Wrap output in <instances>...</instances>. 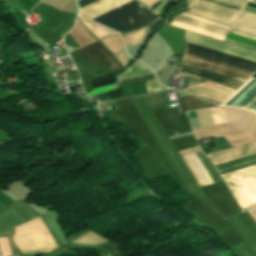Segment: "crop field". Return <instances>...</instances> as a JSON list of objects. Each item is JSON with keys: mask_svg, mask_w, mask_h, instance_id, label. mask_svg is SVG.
Wrapping results in <instances>:
<instances>
[{"mask_svg": "<svg viewBox=\"0 0 256 256\" xmlns=\"http://www.w3.org/2000/svg\"><path fill=\"white\" fill-rule=\"evenodd\" d=\"M119 88L117 83L115 84H111V85H108V86H104V87H101V88H97V89H94L88 93H86L88 96H93V95H97V94H101V93H105V92H108L110 90H113V89H117Z\"/></svg>", "mask_w": 256, "mask_h": 256, "instance_id": "23", "label": "crop field"}, {"mask_svg": "<svg viewBox=\"0 0 256 256\" xmlns=\"http://www.w3.org/2000/svg\"><path fill=\"white\" fill-rule=\"evenodd\" d=\"M195 112L201 127L214 124L209 109Z\"/></svg>", "mask_w": 256, "mask_h": 256, "instance_id": "21", "label": "crop field"}, {"mask_svg": "<svg viewBox=\"0 0 256 256\" xmlns=\"http://www.w3.org/2000/svg\"><path fill=\"white\" fill-rule=\"evenodd\" d=\"M237 175L240 176L248 185H250L256 191V178L240 174ZM237 175L233 172H230L223 175L222 178L231 189L242 210H245L249 207L256 205V192Z\"/></svg>", "mask_w": 256, "mask_h": 256, "instance_id": "5", "label": "crop field"}, {"mask_svg": "<svg viewBox=\"0 0 256 256\" xmlns=\"http://www.w3.org/2000/svg\"><path fill=\"white\" fill-rule=\"evenodd\" d=\"M93 21H95V22H97V23H99L101 25H104V26H106L108 28H111V29H113V30H115L117 32L126 33V32L132 31V30H130V29H128V28L118 24L117 22H115V21H113V20L103 16V15L98 17V18H96V19H94Z\"/></svg>", "mask_w": 256, "mask_h": 256, "instance_id": "17", "label": "crop field"}, {"mask_svg": "<svg viewBox=\"0 0 256 256\" xmlns=\"http://www.w3.org/2000/svg\"><path fill=\"white\" fill-rule=\"evenodd\" d=\"M142 3L147 5L151 10L155 5H157L161 0H140Z\"/></svg>", "mask_w": 256, "mask_h": 256, "instance_id": "28", "label": "crop field"}, {"mask_svg": "<svg viewBox=\"0 0 256 256\" xmlns=\"http://www.w3.org/2000/svg\"><path fill=\"white\" fill-rule=\"evenodd\" d=\"M210 110L215 124L227 122L222 108H214Z\"/></svg>", "mask_w": 256, "mask_h": 256, "instance_id": "22", "label": "crop field"}, {"mask_svg": "<svg viewBox=\"0 0 256 256\" xmlns=\"http://www.w3.org/2000/svg\"><path fill=\"white\" fill-rule=\"evenodd\" d=\"M248 212L253 217V219L256 221V207L248 210Z\"/></svg>", "mask_w": 256, "mask_h": 256, "instance_id": "33", "label": "crop field"}, {"mask_svg": "<svg viewBox=\"0 0 256 256\" xmlns=\"http://www.w3.org/2000/svg\"><path fill=\"white\" fill-rule=\"evenodd\" d=\"M91 1H93V0H80V1H78L79 7L88 3V2H91Z\"/></svg>", "mask_w": 256, "mask_h": 256, "instance_id": "34", "label": "crop field"}, {"mask_svg": "<svg viewBox=\"0 0 256 256\" xmlns=\"http://www.w3.org/2000/svg\"><path fill=\"white\" fill-rule=\"evenodd\" d=\"M78 50L92 63L104 64L117 71L122 69L110 52L99 41L81 47Z\"/></svg>", "mask_w": 256, "mask_h": 256, "instance_id": "8", "label": "crop field"}, {"mask_svg": "<svg viewBox=\"0 0 256 256\" xmlns=\"http://www.w3.org/2000/svg\"><path fill=\"white\" fill-rule=\"evenodd\" d=\"M125 46H130V45H134L137 43H140L142 41H144L145 38V29H142L140 31L137 32H133L130 33L126 36H121Z\"/></svg>", "mask_w": 256, "mask_h": 256, "instance_id": "19", "label": "crop field"}, {"mask_svg": "<svg viewBox=\"0 0 256 256\" xmlns=\"http://www.w3.org/2000/svg\"><path fill=\"white\" fill-rule=\"evenodd\" d=\"M183 14L194 16V17H197V18H200V19H204V20L211 21V22H214V23H218V24L228 26V27H230L231 24H232L231 22L224 21V20L212 17V16H208V15L196 12V11H192V10L189 11V12H185ZM183 14H180V15H183ZM180 15L175 17L174 20H177V21H180V22H183V23H187V24H190V25H193V26H196V27L204 28V29H207V30H211V31L221 33V34H224V35L226 34L227 29H228V27L217 25V24H214V23H211V22H207V21H204V20L194 18V19L204 21V22H207V23H210V24H214V25H217V26H220V27H224V28H227V29H223V28H220V27H217V26H213V25H210V24H207V23H203V22H200V21H197V20L190 19V18H193V17L187 16V15H184V16H187V17H190V18L183 17V16H180Z\"/></svg>", "mask_w": 256, "mask_h": 256, "instance_id": "9", "label": "crop field"}, {"mask_svg": "<svg viewBox=\"0 0 256 256\" xmlns=\"http://www.w3.org/2000/svg\"><path fill=\"white\" fill-rule=\"evenodd\" d=\"M253 77L256 78V74Z\"/></svg>", "mask_w": 256, "mask_h": 256, "instance_id": "35", "label": "crop field"}, {"mask_svg": "<svg viewBox=\"0 0 256 256\" xmlns=\"http://www.w3.org/2000/svg\"><path fill=\"white\" fill-rule=\"evenodd\" d=\"M256 152V143H250L235 149H230L218 153L209 154L208 156L212 160L213 164H219L240 156H244L247 154L255 153Z\"/></svg>", "mask_w": 256, "mask_h": 256, "instance_id": "12", "label": "crop field"}, {"mask_svg": "<svg viewBox=\"0 0 256 256\" xmlns=\"http://www.w3.org/2000/svg\"><path fill=\"white\" fill-rule=\"evenodd\" d=\"M224 112L228 123L213 125L204 128L194 129L193 132L197 139L215 136L221 137L228 134L244 132L247 130L253 113L237 109L224 107ZM226 140L233 148L253 142L254 140L247 132L225 136Z\"/></svg>", "mask_w": 256, "mask_h": 256, "instance_id": "2", "label": "crop field"}, {"mask_svg": "<svg viewBox=\"0 0 256 256\" xmlns=\"http://www.w3.org/2000/svg\"><path fill=\"white\" fill-rule=\"evenodd\" d=\"M178 99L180 101V104L184 112L188 110L217 106V105L205 102L203 100H200L198 98H195L193 96L181 97Z\"/></svg>", "mask_w": 256, "mask_h": 256, "instance_id": "13", "label": "crop field"}, {"mask_svg": "<svg viewBox=\"0 0 256 256\" xmlns=\"http://www.w3.org/2000/svg\"><path fill=\"white\" fill-rule=\"evenodd\" d=\"M145 67L135 62L125 73L119 75L120 79L147 74Z\"/></svg>", "mask_w": 256, "mask_h": 256, "instance_id": "20", "label": "crop field"}, {"mask_svg": "<svg viewBox=\"0 0 256 256\" xmlns=\"http://www.w3.org/2000/svg\"><path fill=\"white\" fill-rule=\"evenodd\" d=\"M185 40L193 42L199 45H203L212 49H216L222 52H226L232 55H236L245 59H249L256 62V52L245 48H241L232 44H228L222 41H218L212 38H208L202 35L185 31ZM185 41V42H186ZM186 42V51L220 61L250 72L256 71V63L245 60L236 56H232L226 53H222L216 50H212L203 46H199L193 43ZM184 52L182 63L190 65L199 69H203L209 72H213L222 76H226L235 80L245 82L250 78L253 73L219 63L189 52ZM181 65L180 71H184L190 74H194L200 77H204L210 80H214L220 83H224L230 86L239 88L242 82L235 81L226 77H222L216 74H212L203 70H199L190 66ZM185 91L200 96L202 98L222 104L228 97H230L235 90L228 89L209 82L195 85L186 88Z\"/></svg>", "mask_w": 256, "mask_h": 256, "instance_id": "1", "label": "crop field"}, {"mask_svg": "<svg viewBox=\"0 0 256 256\" xmlns=\"http://www.w3.org/2000/svg\"><path fill=\"white\" fill-rule=\"evenodd\" d=\"M213 1L242 9V7L244 6L247 0H213ZM188 8L206 13L221 19H225L231 22L239 13V10H235V9L218 5L205 0H191Z\"/></svg>", "mask_w": 256, "mask_h": 256, "instance_id": "6", "label": "crop field"}, {"mask_svg": "<svg viewBox=\"0 0 256 256\" xmlns=\"http://www.w3.org/2000/svg\"><path fill=\"white\" fill-rule=\"evenodd\" d=\"M249 2L256 3V0H249ZM249 2L247 3V6L256 8V4H252V3H249ZM247 6H245L244 10L256 13V9L250 8V7H247Z\"/></svg>", "mask_w": 256, "mask_h": 256, "instance_id": "31", "label": "crop field"}, {"mask_svg": "<svg viewBox=\"0 0 256 256\" xmlns=\"http://www.w3.org/2000/svg\"><path fill=\"white\" fill-rule=\"evenodd\" d=\"M229 33L236 34L242 37H246L252 40H256V15L247 11L242 10L241 14L235 20L233 26L231 27ZM227 34L226 39H230L236 42H240L243 44H247L253 47H256V41H252L246 38H242L236 35ZM225 42L232 43L238 46H242L251 50H255L256 48L243 45L240 43H236L230 40H226Z\"/></svg>", "mask_w": 256, "mask_h": 256, "instance_id": "4", "label": "crop field"}, {"mask_svg": "<svg viewBox=\"0 0 256 256\" xmlns=\"http://www.w3.org/2000/svg\"><path fill=\"white\" fill-rule=\"evenodd\" d=\"M165 2L166 0H162V2L153 10V12L158 14V12L160 11Z\"/></svg>", "mask_w": 256, "mask_h": 256, "instance_id": "32", "label": "crop field"}, {"mask_svg": "<svg viewBox=\"0 0 256 256\" xmlns=\"http://www.w3.org/2000/svg\"><path fill=\"white\" fill-rule=\"evenodd\" d=\"M113 54L123 51V45L119 35L106 36L100 40Z\"/></svg>", "mask_w": 256, "mask_h": 256, "instance_id": "16", "label": "crop field"}, {"mask_svg": "<svg viewBox=\"0 0 256 256\" xmlns=\"http://www.w3.org/2000/svg\"><path fill=\"white\" fill-rule=\"evenodd\" d=\"M81 17V16H80ZM79 16L77 17L88 29L89 31L98 39L100 40L106 35H114L117 34L114 31H111L109 29L103 28L91 21H88L86 19L80 18Z\"/></svg>", "mask_w": 256, "mask_h": 256, "instance_id": "15", "label": "crop field"}, {"mask_svg": "<svg viewBox=\"0 0 256 256\" xmlns=\"http://www.w3.org/2000/svg\"><path fill=\"white\" fill-rule=\"evenodd\" d=\"M0 251L3 254V256H10V250L8 246L7 238L0 239Z\"/></svg>", "mask_w": 256, "mask_h": 256, "instance_id": "26", "label": "crop field"}, {"mask_svg": "<svg viewBox=\"0 0 256 256\" xmlns=\"http://www.w3.org/2000/svg\"><path fill=\"white\" fill-rule=\"evenodd\" d=\"M198 151H200V149L197 146V147H193V148H190V149H187V150L180 151V154H181V156H183V155L195 153V152H198Z\"/></svg>", "mask_w": 256, "mask_h": 256, "instance_id": "29", "label": "crop field"}, {"mask_svg": "<svg viewBox=\"0 0 256 256\" xmlns=\"http://www.w3.org/2000/svg\"><path fill=\"white\" fill-rule=\"evenodd\" d=\"M183 159L199 183L200 187L214 183L197 153L184 156Z\"/></svg>", "mask_w": 256, "mask_h": 256, "instance_id": "11", "label": "crop field"}, {"mask_svg": "<svg viewBox=\"0 0 256 256\" xmlns=\"http://www.w3.org/2000/svg\"><path fill=\"white\" fill-rule=\"evenodd\" d=\"M82 46L95 41V39L76 21L74 28L69 32Z\"/></svg>", "mask_w": 256, "mask_h": 256, "instance_id": "14", "label": "crop field"}, {"mask_svg": "<svg viewBox=\"0 0 256 256\" xmlns=\"http://www.w3.org/2000/svg\"><path fill=\"white\" fill-rule=\"evenodd\" d=\"M76 1H78V0H76Z\"/></svg>", "mask_w": 256, "mask_h": 256, "instance_id": "36", "label": "crop field"}, {"mask_svg": "<svg viewBox=\"0 0 256 256\" xmlns=\"http://www.w3.org/2000/svg\"><path fill=\"white\" fill-rule=\"evenodd\" d=\"M223 105L236 106L256 112V79L251 78Z\"/></svg>", "mask_w": 256, "mask_h": 256, "instance_id": "7", "label": "crop field"}, {"mask_svg": "<svg viewBox=\"0 0 256 256\" xmlns=\"http://www.w3.org/2000/svg\"><path fill=\"white\" fill-rule=\"evenodd\" d=\"M233 172H237V173H241V174H245L248 176H252V177H256V165L250 166V167H246L240 170H236Z\"/></svg>", "mask_w": 256, "mask_h": 256, "instance_id": "25", "label": "crop field"}, {"mask_svg": "<svg viewBox=\"0 0 256 256\" xmlns=\"http://www.w3.org/2000/svg\"><path fill=\"white\" fill-rule=\"evenodd\" d=\"M104 15L132 30L143 27L158 18V16L134 0Z\"/></svg>", "mask_w": 256, "mask_h": 256, "instance_id": "3", "label": "crop field"}, {"mask_svg": "<svg viewBox=\"0 0 256 256\" xmlns=\"http://www.w3.org/2000/svg\"><path fill=\"white\" fill-rule=\"evenodd\" d=\"M114 57L117 58L125 68L128 60H129V57L126 56L125 52L123 51L121 53H118V54L114 55Z\"/></svg>", "mask_w": 256, "mask_h": 256, "instance_id": "27", "label": "crop field"}, {"mask_svg": "<svg viewBox=\"0 0 256 256\" xmlns=\"http://www.w3.org/2000/svg\"><path fill=\"white\" fill-rule=\"evenodd\" d=\"M130 0H99L80 9V15L90 20L104 14Z\"/></svg>", "mask_w": 256, "mask_h": 256, "instance_id": "10", "label": "crop field"}, {"mask_svg": "<svg viewBox=\"0 0 256 256\" xmlns=\"http://www.w3.org/2000/svg\"><path fill=\"white\" fill-rule=\"evenodd\" d=\"M163 89H164V87L160 86L157 83L156 79L146 82L147 93H151V92H155V91H159V90H163Z\"/></svg>", "mask_w": 256, "mask_h": 256, "instance_id": "24", "label": "crop field"}, {"mask_svg": "<svg viewBox=\"0 0 256 256\" xmlns=\"http://www.w3.org/2000/svg\"><path fill=\"white\" fill-rule=\"evenodd\" d=\"M248 132L251 133L254 136V138L256 139V116H255Z\"/></svg>", "mask_w": 256, "mask_h": 256, "instance_id": "30", "label": "crop field"}, {"mask_svg": "<svg viewBox=\"0 0 256 256\" xmlns=\"http://www.w3.org/2000/svg\"><path fill=\"white\" fill-rule=\"evenodd\" d=\"M170 25L181 28V29H186V30H189V31H193V32H196V33H199V34H202V35H206V36H209V37H212V38H215V39H219V40H222V41L225 38L224 36H221V35H218V34H215V33H211V32L196 28V27L188 26V25L182 24V23L174 21V20H172Z\"/></svg>", "mask_w": 256, "mask_h": 256, "instance_id": "18", "label": "crop field"}]
</instances>
